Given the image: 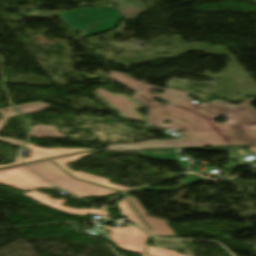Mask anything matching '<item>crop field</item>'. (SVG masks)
I'll return each mask as SVG.
<instances>
[{"label":"crop field","instance_id":"crop-field-18","mask_svg":"<svg viewBox=\"0 0 256 256\" xmlns=\"http://www.w3.org/2000/svg\"><path fill=\"white\" fill-rule=\"evenodd\" d=\"M22 161L18 155V157L16 158V160L14 161V163H11V164H7V165H0V168H3V167H7V166H12V165H17V164H21Z\"/></svg>","mask_w":256,"mask_h":256},{"label":"crop field","instance_id":"crop-field-11","mask_svg":"<svg viewBox=\"0 0 256 256\" xmlns=\"http://www.w3.org/2000/svg\"><path fill=\"white\" fill-rule=\"evenodd\" d=\"M24 148L31 150V157L23 159L25 163L43 160L47 158L62 156L66 154L82 152L92 149H81V148H50V149H43L35 147L32 144L26 145Z\"/></svg>","mask_w":256,"mask_h":256},{"label":"crop field","instance_id":"crop-field-8","mask_svg":"<svg viewBox=\"0 0 256 256\" xmlns=\"http://www.w3.org/2000/svg\"><path fill=\"white\" fill-rule=\"evenodd\" d=\"M0 184L18 190L55 188L25 165L0 170Z\"/></svg>","mask_w":256,"mask_h":256},{"label":"crop field","instance_id":"crop-field-15","mask_svg":"<svg viewBox=\"0 0 256 256\" xmlns=\"http://www.w3.org/2000/svg\"><path fill=\"white\" fill-rule=\"evenodd\" d=\"M6 109V111H3V109H0V113L3 116V120H0V130L3 128V126L5 125L6 121L8 120L9 117L12 116H17V112L13 109V107L11 108H4ZM0 141H4V142H8V143H12V144H16V145H20L22 146L23 144H25V142L13 139V138H3L0 137Z\"/></svg>","mask_w":256,"mask_h":256},{"label":"crop field","instance_id":"crop-field-19","mask_svg":"<svg viewBox=\"0 0 256 256\" xmlns=\"http://www.w3.org/2000/svg\"><path fill=\"white\" fill-rule=\"evenodd\" d=\"M245 147L248 148L249 152L256 154V146H245Z\"/></svg>","mask_w":256,"mask_h":256},{"label":"crop field","instance_id":"crop-field-5","mask_svg":"<svg viewBox=\"0 0 256 256\" xmlns=\"http://www.w3.org/2000/svg\"><path fill=\"white\" fill-rule=\"evenodd\" d=\"M103 227L111 229L110 239L120 248L131 252L142 253L143 256H147L145 255V247L148 246H145V242L150 239V236L142 230L133 226L125 228ZM147 254L151 256H185L174 250L153 247H148Z\"/></svg>","mask_w":256,"mask_h":256},{"label":"crop field","instance_id":"crop-field-3","mask_svg":"<svg viewBox=\"0 0 256 256\" xmlns=\"http://www.w3.org/2000/svg\"><path fill=\"white\" fill-rule=\"evenodd\" d=\"M80 13L83 15L79 16ZM92 13V15H90ZM60 16L72 30L84 31V36L109 31L117 26L121 16L113 8H82L66 12H48L36 10L26 12L23 17ZM91 25H95L91 27Z\"/></svg>","mask_w":256,"mask_h":256},{"label":"crop field","instance_id":"crop-field-2","mask_svg":"<svg viewBox=\"0 0 256 256\" xmlns=\"http://www.w3.org/2000/svg\"><path fill=\"white\" fill-rule=\"evenodd\" d=\"M136 100L150 107L148 124L157 127L174 128L183 131L179 146H226L229 145L210 122L190 111L174 105H161L139 95ZM161 120L171 121L164 124Z\"/></svg>","mask_w":256,"mask_h":256},{"label":"crop field","instance_id":"crop-field-1","mask_svg":"<svg viewBox=\"0 0 256 256\" xmlns=\"http://www.w3.org/2000/svg\"><path fill=\"white\" fill-rule=\"evenodd\" d=\"M109 77L122 85L139 92L140 95L151 98L159 97L171 104L185 108L197 114L205 116L218 129L230 145L256 144V109L251 103L256 100L249 98L244 100L241 107L228 106V102L213 101L211 103L194 104L187 93L177 89H162L153 85L138 82L137 80L117 72H110ZM145 88H142V87ZM140 87L141 89H137ZM156 88L166 91L165 94L153 95L148 89ZM223 116L229 120L227 123L214 124L213 120Z\"/></svg>","mask_w":256,"mask_h":256},{"label":"crop field","instance_id":"crop-field-4","mask_svg":"<svg viewBox=\"0 0 256 256\" xmlns=\"http://www.w3.org/2000/svg\"><path fill=\"white\" fill-rule=\"evenodd\" d=\"M29 166L60 189L67 190L69 194H75L79 199L83 197L109 196L118 193V191L109 188L77 180L49 160L29 164Z\"/></svg>","mask_w":256,"mask_h":256},{"label":"crop field","instance_id":"crop-field-12","mask_svg":"<svg viewBox=\"0 0 256 256\" xmlns=\"http://www.w3.org/2000/svg\"><path fill=\"white\" fill-rule=\"evenodd\" d=\"M152 147H177V140L148 141V142H143L139 144L109 145L107 148L110 151H123V150L138 151L141 148H152Z\"/></svg>","mask_w":256,"mask_h":256},{"label":"crop field","instance_id":"crop-field-17","mask_svg":"<svg viewBox=\"0 0 256 256\" xmlns=\"http://www.w3.org/2000/svg\"><path fill=\"white\" fill-rule=\"evenodd\" d=\"M198 180H201V178L197 177V176H194L192 174H187L186 176V180L183 182V186L177 188V189H180V188H183V187H186L188 185V183H191V182H196ZM177 189H158V188H143V189H139V191H142V190H155V191H165V190H177Z\"/></svg>","mask_w":256,"mask_h":256},{"label":"crop field","instance_id":"crop-field-10","mask_svg":"<svg viewBox=\"0 0 256 256\" xmlns=\"http://www.w3.org/2000/svg\"><path fill=\"white\" fill-rule=\"evenodd\" d=\"M25 195L31 196L34 200L59 211L72 213L76 215H89V214L105 215V213L102 210H97V209H74V208L64 207L62 206V204L66 202L65 200L52 199L49 196L38 191L27 193ZM53 202H56V204H53Z\"/></svg>","mask_w":256,"mask_h":256},{"label":"crop field","instance_id":"crop-field-7","mask_svg":"<svg viewBox=\"0 0 256 256\" xmlns=\"http://www.w3.org/2000/svg\"><path fill=\"white\" fill-rule=\"evenodd\" d=\"M128 199L131 200L134 207L141 214V216L147 222V224L149 225L152 231H150L146 227V225L142 222V220L139 218V216L131 207ZM117 205H118V208L121 209L122 215H124L125 217L133 221L135 224H137L141 228L148 231L150 234L155 236H176L175 233L172 231V229L169 227V225L166 223V221L148 216L147 211L143 209V207L140 205V203L137 201L136 198L131 196L125 197L123 200L117 203Z\"/></svg>","mask_w":256,"mask_h":256},{"label":"crop field","instance_id":"crop-field-14","mask_svg":"<svg viewBox=\"0 0 256 256\" xmlns=\"http://www.w3.org/2000/svg\"><path fill=\"white\" fill-rule=\"evenodd\" d=\"M166 150H169L168 154L150 153V151H166ZM173 150H177V149L142 150V151L146 153L145 154L146 156L152 159L176 162L179 164L180 168L184 170L187 163L174 160Z\"/></svg>","mask_w":256,"mask_h":256},{"label":"crop field","instance_id":"crop-field-9","mask_svg":"<svg viewBox=\"0 0 256 256\" xmlns=\"http://www.w3.org/2000/svg\"><path fill=\"white\" fill-rule=\"evenodd\" d=\"M94 153H96V152H88V153H84V154H79V155L54 159L53 161L56 162L59 166H61L65 170H67L68 172H70L71 174H73L74 176H76L78 179L90 181V182H93V183H97V184H100V185H104V186L115 188V189L122 190V191H125V190L129 189V188H126V187H123V186L113 184V183L109 182L108 179H105V178H101V177H98V176H95V175H92V174H88V173H85V172H74L69 167L65 166L66 163L76 161L79 158L83 157L84 155H89V154H94Z\"/></svg>","mask_w":256,"mask_h":256},{"label":"crop field","instance_id":"crop-field-16","mask_svg":"<svg viewBox=\"0 0 256 256\" xmlns=\"http://www.w3.org/2000/svg\"><path fill=\"white\" fill-rule=\"evenodd\" d=\"M50 106L51 105L44 104L41 102H36V103L27 104V105L17 106L16 108L19 110V112L22 115H25V114L36 113V112L44 110Z\"/></svg>","mask_w":256,"mask_h":256},{"label":"crop field","instance_id":"crop-field-13","mask_svg":"<svg viewBox=\"0 0 256 256\" xmlns=\"http://www.w3.org/2000/svg\"><path fill=\"white\" fill-rule=\"evenodd\" d=\"M58 127H50L45 125H38L32 127V130L30 132V136L34 137H66L60 133L57 132ZM49 129H52L49 131Z\"/></svg>","mask_w":256,"mask_h":256},{"label":"crop field","instance_id":"crop-field-6","mask_svg":"<svg viewBox=\"0 0 256 256\" xmlns=\"http://www.w3.org/2000/svg\"><path fill=\"white\" fill-rule=\"evenodd\" d=\"M92 94L106 108L116 110L119 117L142 122L146 121V116L138 113L136 110L143 105L135 102L127 95L109 93L101 87L95 89Z\"/></svg>","mask_w":256,"mask_h":256}]
</instances>
